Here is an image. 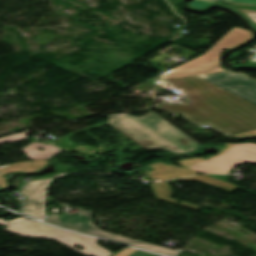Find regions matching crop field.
I'll return each mask as SVG.
<instances>
[{"label":"crop field","mask_w":256,"mask_h":256,"mask_svg":"<svg viewBox=\"0 0 256 256\" xmlns=\"http://www.w3.org/2000/svg\"><path fill=\"white\" fill-rule=\"evenodd\" d=\"M243 29L234 27L202 56L180 65L162 76L177 89H184L185 105L159 107L185 114L186 118L198 125L209 123L216 130L232 135L256 129V94L242 99L220 90L208 82L227 73L220 68L223 49Z\"/></svg>","instance_id":"obj_1"},{"label":"crop field","mask_w":256,"mask_h":256,"mask_svg":"<svg viewBox=\"0 0 256 256\" xmlns=\"http://www.w3.org/2000/svg\"><path fill=\"white\" fill-rule=\"evenodd\" d=\"M107 123L147 150H168L177 155L200 147L154 113L141 119L131 115L113 116Z\"/></svg>","instance_id":"obj_2"},{"label":"crop field","mask_w":256,"mask_h":256,"mask_svg":"<svg viewBox=\"0 0 256 256\" xmlns=\"http://www.w3.org/2000/svg\"><path fill=\"white\" fill-rule=\"evenodd\" d=\"M6 231L23 235L30 238H50L74 249L76 245L84 247V250H76L85 256H109L113 253L98 246L96 243L98 239L86 237L72 232L60 230L33 221H22L13 224Z\"/></svg>","instance_id":"obj_3"},{"label":"crop field","mask_w":256,"mask_h":256,"mask_svg":"<svg viewBox=\"0 0 256 256\" xmlns=\"http://www.w3.org/2000/svg\"><path fill=\"white\" fill-rule=\"evenodd\" d=\"M44 221L51 223L53 225L74 230L77 232L118 241L131 246H135L138 248H142V249H146V250H150V251H154V252H158V253H162L170 256H175L178 253L177 251H174L170 248L106 233L100 230L97 226H95L92 223L91 212L88 210H81L73 215L67 213L62 217L53 216L45 219Z\"/></svg>","instance_id":"obj_4"},{"label":"crop field","mask_w":256,"mask_h":256,"mask_svg":"<svg viewBox=\"0 0 256 256\" xmlns=\"http://www.w3.org/2000/svg\"><path fill=\"white\" fill-rule=\"evenodd\" d=\"M226 149L208 160L202 158L194 159L195 165L190 169L201 173H228L234 165L240 163H256V144L225 143ZM235 167V166H234Z\"/></svg>","instance_id":"obj_5"},{"label":"crop field","mask_w":256,"mask_h":256,"mask_svg":"<svg viewBox=\"0 0 256 256\" xmlns=\"http://www.w3.org/2000/svg\"><path fill=\"white\" fill-rule=\"evenodd\" d=\"M72 169L71 167L56 165L55 174L43 177V178H32L33 181L27 183L22 192L27 196L26 206L23 210L24 213L42 219L41 205L44 195V190L49 179L57 174L64 173Z\"/></svg>","instance_id":"obj_6"},{"label":"crop field","mask_w":256,"mask_h":256,"mask_svg":"<svg viewBox=\"0 0 256 256\" xmlns=\"http://www.w3.org/2000/svg\"><path fill=\"white\" fill-rule=\"evenodd\" d=\"M210 83L242 98L256 93V81L240 74L228 73Z\"/></svg>","instance_id":"obj_7"},{"label":"crop field","mask_w":256,"mask_h":256,"mask_svg":"<svg viewBox=\"0 0 256 256\" xmlns=\"http://www.w3.org/2000/svg\"><path fill=\"white\" fill-rule=\"evenodd\" d=\"M154 171L152 172L150 178L152 179H170V178H175V177H180V176H186V175H191L195 174L197 172L190 171L186 168L178 167L176 165L171 166L167 168L163 163H155V164H150Z\"/></svg>","instance_id":"obj_8"},{"label":"crop field","mask_w":256,"mask_h":256,"mask_svg":"<svg viewBox=\"0 0 256 256\" xmlns=\"http://www.w3.org/2000/svg\"><path fill=\"white\" fill-rule=\"evenodd\" d=\"M149 185L157 199L168 201V202L181 205L194 210L200 208V206L190 205L182 201H179L182 203H177L178 200L171 199L172 192L167 182L159 183V184L150 183Z\"/></svg>","instance_id":"obj_9"},{"label":"crop field","mask_w":256,"mask_h":256,"mask_svg":"<svg viewBox=\"0 0 256 256\" xmlns=\"http://www.w3.org/2000/svg\"><path fill=\"white\" fill-rule=\"evenodd\" d=\"M187 180H194L227 192L232 193L233 191H235L237 188H239V186L230 184V183H226L205 175H199V176H194V177H188V178H183V179H178V180H172V182H177V181H187Z\"/></svg>","instance_id":"obj_10"},{"label":"crop field","mask_w":256,"mask_h":256,"mask_svg":"<svg viewBox=\"0 0 256 256\" xmlns=\"http://www.w3.org/2000/svg\"><path fill=\"white\" fill-rule=\"evenodd\" d=\"M218 0H194L189 3V6L197 9H204ZM228 4L232 3H247V4H256V0H223Z\"/></svg>","instance_id":"obj_11"},{"label":"crop field","mask_w":256,"mask_h":256,"mask_svg":"<svg viewBox=\"0 0 256 256\" xmlns=\"http://www.w3.org/2000/svg\"><path fill=\"white\" fill-rule=\"evenodd\" d=\"M115 256H159V255H155L152 253H148L145 251H141V250H137L134 248H126L123 251L119 252L118 254H116Z\"/></svg>","instance_id":"obj_12"},{"label":"crop field","mask_w":256,"mask_h":256,"mask_svg":"<svg viewBox=\"0 0 256 256\" xmlns=\"http://www.w3.org/2000/svg\"><path fill=\"white\" fill-rule=\"evenodd\" d=\"M252 33L248 30H244L235 40H233L225 49L235 47L240 44H244L250 40Z\"/></svg>","instance_id":"obj_13"},{"label":"crop field","mask_w":256,"mask_h":256,"mask_svg":"<svg viewBox=\"0 0 256 256\" xmlns=\"http://www.w3.org/2000/svg\"><path fill=\"white\" fill-rule=\"evenodd\" d=\"M238 10L242 11L246 15V18L249 19L253 24L254 22H256V11L243 10V9H238Z\"/></svg>","instance_id":"obj_14"},{"label":"crop field","mask_w":256,"mask_h":256,"mask_svg":"<svg viewBox=\"0 0 256 256\" xmlns=\"http://www.w3.org/2000/svg\"><path fill=\"white\" fill-rule=\"evenodd\" d=\"M21 220H26V219L23 218V217L18 218V219H15V220H12V221H5V220H1V219H0V224L10 226L11 224H13V223H15V222H17V221H21Z\"/></svg>","instance_id":"obj_15"},{"label":"crop field","mask_w":256,"mask_h":256,"mask_svg":"<svg viewBox=\"0 0 256 256\" xmlns=\"http://www.w3.org/2000/svg\"><path fill=\"white\" fill-rule=\"evenodd\" d=\"M236 136H238V137L256 136V130L250 131V132H246V133L237 134ZM225 137H228V135H225Z\"/></svg>","instance_id":"obj_16"},{"label":"crop field","mask_w":256,"mask_h":256,"mask_svg":"<svg viewBox=\"0 0 256 256\" xmlns=\"http://www.w3.org/2000/svg\"><path fill=\"white\" fill-rule=\"evenodd\" d=\"M205 175H208V174H205ZM208 176H211L226 182H228V178H229V175H208Z\"/></svg>","instance_id":"obj_17"},{"label":"crop field","mask_w":256,"mask_h":256,"mask_svg":"<svg viewBox=\"0 0 256 256\" xmlns=\"http://www.w3.org/2000/svg\"><path fill=\"white\" fill-rule=\"evenodd\" d=\"M237 5H244V4H237ZM250 6H256V5H250Z\"/></svg>","instance_id":"obj_18"},{"label":"crop field","mask_w":256,"mask_h":256,"mask_svg":"<svg viewBox=\"0 0 256 256\" xmlns=\"http://www.w3.org/2000/svg\"><path fill=\"white\" fill-rule=\"evenodd\" d=\"M1 188V187H0Z\"/></svg>","instance_id":"obj_19"}]
</instances>
